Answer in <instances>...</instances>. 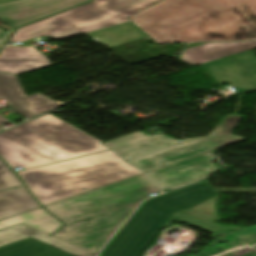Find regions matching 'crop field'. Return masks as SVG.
I'll return each mask as SVG.
<instances>
[{"label":"crop field","mask_w":256,"mask_h":256,"mask_svg":"<svg viewBox=\"0 0 256 256\" xmlns=\"http://www.w3.org/2000/svg\"><path fill=\"white\" fill-rule=\"evenodd\" d=\"M129 19L158 44L256 40V0H163Z\"/></svg>","instance_id":"obj_1"},{"label":"crop field","mask_w":256,"mask_h":256,"mask_svg":"<svg viewBox=\"0 0 256 256\" xmlns=\"http://www.w3.org/2000/svg\"><path fill=\"white\" fill-rule=\"evenodd\" d=\"M152 192L160 191L142 174L45 206L65 222L53 236L98 254L137 204Z\"/></svg>","instance_id":"obj_2"},{"label":"crop field","mask_w":256,"mask_h":256,"mask_svg":"<svg viewBox=\"0 0 256 256\" xmlns=\"http://www.w3.org/2000/svg\"><path fill=\"white\" fill-rule=\"evenodd\" d=\"M218 196L203 181L144 201L106 245L100 256H138L158 231L169 226L174 219L215 235L234 231L186 213Z\"/></svg>","instance_id":"obj_3"},{"label":"crop field","mask_w":256,"mask_h":256,"mask_svg":"<svg viewBox=\"0 0 256 256\" xmlns=\"http://www.w3.org/2000/svg\"><path fill=\"white\" fill-rule=\"evenodd\" d=\"M101 143L49 114L0 133V155L25 170L109 150Z\"/></svg>","instance_id":"obj_4"},{"label":"crop field","mask_w":256,"mask_h":256,"mask_svg":"<svg viewBox=\"0 0 256 256\" xmlns=\"http://www.w3.org/2000/svg\"><path fill=\"white\" fill-rule=\"evenodd\" d=\"M45 206L142 174L112 150L19 172Z\"/></svg>","instance_id":"obj_5"},{"label":"crop field","mask_w":256,"mask_h":256,"mask_svg":"<svg viewBox=\"0 0 256 256\" xmlns=\"http://www.w3.org/2000/svg\"><path fill=\"white\" fill-rule=\"evenodd\" d=\"M161 0H94V2L18 29L10 41L38 36L57 40L130 21L128 18Z\"/></svg>","instance_id":"obj_6"},{"label":"crop field","mask_w":256,"mask_h":256,"mask_svg":"<svg viewBox=\"0 0 256 256\" xmlns=\"http://www.w3.org/2000/svg\"><path fill=\"white\" fill-rule=\"evenodd\" d=\"M242 117L228 114L209 136L185 139L178 145L136 160L130 163L147 172L186 158L206 153L247 138L232 135V129Z\"/></svg>","instance_id":"obj_7"},{"label":"crop field","mask_w":256,"mask_h":256,"mask_svg":"<svg viewBox=\"0 0 256 256\" xmlns=\"http://www.w3.org/2000/svg\"><path fill=\"white\" fill-rule=\"evenodd\" d=\"M213 158L214 154L209 152L147 172V174L165 192L164 189H174L199 181L217 171L212 165Z\"/></svg>","instance_id":"obj_8"},{"label":"crop field","mask_w":256,"mask_h":256,"mask_svg":"<svg viewBox=\"0 0 256 256\" xmlns=\"http://www.w3.org/2000/svg\"><path fill=\"white\" fill-rule=\"evenodd\" d=\"M252 53L248 50L204 67L218 84L230 82L238 92L256 90V58Z\"/></svg>","instance_id":"obj_9"},{"label":"crop field","mask_w":256,"mask_h":256,"mask_svg":"<svg viewBox=\"0 0 256 256\" xmlns=\"http://www.w3.org/2000/svg\"><path fill=\"white\" fill-rule=\"evenodd\" d=\"M86 1L89 0H17L0 4V20L15 28ZM7 32H0V43Z\"/></svg>","instance_id":"obj_10"},{"label":"crop field","mask_w":256,"mask_h":256,"mask_svg":"<svg viewBox=\"0 0 256 256\" xmlns=\"http://www.w3.org/2000/svg\"><path fill=\"white\" fill-rule=\"evenodd\" d=\"M8 102L14 111L27 119L41 115L57 106L53 100L37 93L26 96L17 77L12 74L0 73V99ZM9 120L0 115V125Z\"/></svg>","instance_id":"obj_11"},{"label":"crop field","mask_w":256,"mask_h":256,"mask_svg":"<svg viewBox=\"0 0 256 256\" xmlns=\"http://www.w3.org/2000/svg\"><path fill=\"white\" fill-rule=\"evenodd\" d=\"M180 141L169 139L161 134L148 137L142 132L120 137L103 145L111 148L122 159L129 160L134 157L146 155L176 144Z\"/></svg>","instance_id":"obj_12"},{"label":"crop field","mask_w":256,"mask_h":256,"mask_svg":"<svg viewBox=\"0 0 256 256\" xmlns=\"http://www.w3.org/2000/svg\"><path fill=\"white\" fill-rule=\"evenodd\" d=\"M49 65L35 47H4L0 53V72L18 74Z\"/></svg>","instance_id":"obj_13"},{"label":"crop field","mask_w":256,"mask_h":256,"mask_svg":"<svg viewBox=\"0 0 256 256\" xmlns=\"http://www.w3.org/2000/svg\"><path fill=\"white\" fill-rule=\"evenodd\" d=\"M256 47V42L208 43L185 50L179 58L189 65H200Z\"/></svg>","instance_id":"obj_14"},{"label":"crop field","mask_w":256,"mask_h":256,"mask_svg":"<svg viewBox=\"0 0 256 256\" xmlns=\"http://www.w3.org/2000/svg\"><path fill=\"white\" fill-rule=\"evenodd\" d=\"M49 235V234H48ZM38 230H35L25 224L17 225L11 228H7L0 231V246L6 245L12 242L22 240L27 237H34L58 248L66 250L78 256H96V254L82 250L69 243L59 240L53 236H48Z\"/></svg>","instance_id":"obj_15"},{"label":"crop field","mask_w":256,"mask_h":256,"mask_svg":"<svg viewBox=\"0 0 256 256\" xmlns=\"http://www.w3.org/2000/svg\"><path fill=\"white\" fill-rule=\"evenodd\" d=\"M90 39L110 48L147 35L132 21L85 34Z\"/></svg>","instance_id":"obj_16"},{"label":"crop field","mask_w":256,"mask_h":256,"mask_svg":"<svg viewBox=\"0 0 256 256\" xmlns=\"http://www.w3.org/2000/svg\"><path fill=\"white\" fill-rule=\"evenodd\" d=\"M41 205L25 187L0 192V219L24 213Z\"/></svg>","instance_id":"obj_17"},{"label":"crop field","mask_w":256,"mask_h":256,"mask_svg":"<svg viewBox=\"0 0 256 256\" xmlns=\"http://www.w3.org/2000/svg\"><path fill=\"white\" fill-rule=\"evenodd\" d=\"M21 223H25L49 235L52 234L62 225L61 222L53 218L42 207L0 221V224L5 225L7 227H11Z\"/></svg>","instance_id":"obj_18"},{"label":"crop field","mask_w":256,"mask_h":256,"mask_svg":"<svg viewBox=\"0 0 256 256\" xmlns=\"http://www.w3.org/2000/svg\"><path fill=\"white\" fill-rule=\"evenodd\" d=\"M0 256H69L32 238L0 247Z\"/></svg>","instance_id":"obj_19"},{"label":"crop field","mask_w":256,"mask_h":256,"mask_svg":"<svg viewBox=\"0 0 256 256\" xmlns=\"http://www.w3.org/2000/svg\"><path fill=\"white\" fill-rule=\"evenodd\" d=\"M217 199L212 200L208 203H205L187 213H189L193 216L199 217V218H203V219L212 221V222L219 221V218L215 211V204H216Z\"/></svg>","instance_id":"obj_20"},{"label":"crop field","mask_w":256,"mask_h":256,"mask_svg":"<svg viewBox=\"0 0 256 256\" xmlns=\"http://www.w3.org/2000/svg\"><path fill=\"white\" fill-rule=\"evenodd\" d=\"M22 185L21 181L0 159V190Z\"/></svg>","instance_id":"obj_21"},{"label":"crop field","mask_w":256,"mask_h":256,"mask_svg":"<svg viewBox=\"0 0 256 256\" xmlns=\"http://www.w3.org/2000/svg\"><path fill=\"white\" fill-rule=\"evenodd\" d=\"M8 1H13V0H0V3L8 2Z\"/></svg>","instance_id":"obj_22"},{"label":"crop field","mask_w":256,"mask_h":256,"mask_svg":"<svg viewBox=\"0 0 256 256\" xmlns=\"http://www.w3.org/2000/svg\"><path fill=\"white\" fill-rule=\"evenodd\" d=\"M4 228H7V227L0 225V230L4 229Z\"/></svg>","instance_id":"obj_23"}]
</instances>
